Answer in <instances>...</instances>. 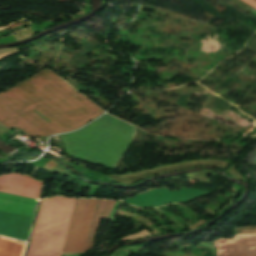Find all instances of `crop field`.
<instances>
[{"label": "crop field", "instance_id": "obj_1", "mask_svg": "<svg viewBox=\"0 0 256 256\" xmlns=\"http://www.w3.org/2000/svg\"><path fill=\"white\" fill-rule=\"evenodd\" d=\"M103 112L47 68L0 94V122L30 136L73 130Z\"/></svg>", "mask_w": 256, "mask_h": 256}, {"label": "crop field", "instance_id": "obj_2", "mask_svg": "<svg viewBox=\"0 0 256 256\" xmlns=\"http://www.w3.org/2000/svg\"><path fill=\"white\" fill-rule=\"evenodd\" d=\"M75 198L41 202L27 256H60ZM97 200H75L62 252H83Z\"/></svg>", "mask_w": 256, "mask_h": 256}, {"label": "crop field", "instance_id": "obj_3", "mask_svg": "<svg viewBox=\"0 0 256 256\" xmlns=\"http://www.w3.org/2000/svg\"><path fill=\"white\" fill-rule=\"evenodd\" d=\"M135 128L107 115L61 135L67 154L90 164L113 167L130 144Z\"/></svg>", "mask_w": 256, "mask_h": 256}, {"label": "crop field", "instance_id": "obj_4", "mask_svg": "<svg viewBox=\"0 0 256 256\" xmlns=\"http://www.w3.org/2000/svg\"><path fill=\"white\" fill-rule=\"evenodd\" d=\"M42 182L9 173L0 176V191L38 199ZM0 192V209L34 215L36 199ZM0 210V235L27 241L33 217Z\"/></svg>", "mask_w": 256, "mask_h": 256}, {"label": "crop field", "instance_id": "obj_5", "mask_svg": "<svg viewBox=\"0 0 256 256\" xmlns=\"http://www.w3.org/2000/svg\"><path fill=\"white\" fill-rule=\"evenodd\" d=\"M217 256H256V234L236 235L233 240L219 239Z\"/></svg>", "mask_w": 256, "mask_h": 256}, {"label": "crop field", "instance_id": "obj_6", "mask_svg": "<svg viewBox=\"0 0 256 256\" xmlns=\"http://www.w3.org/2000/svg\"><path fill=\"white\" fill-rule=\"evenodd\" d=\"M115 201H104V200H99L98 204H97V208L93 217V221H92V225L90 228V232H89V236H88V240L86 243V247H85V251L93 248V244H94V239L97 233V229L99 226V223L101 221L102 218H107L110 210L112 209L113 205H114ZM121 204V201H116L113 209L111 210L108 218L112 219L114 213L116 212L118 206Z\"/></svg>", "mask_w": 256, "mask_h": 256}, {"label": "crop field", "instance_id": "obj_7", "mask_svg": "<svg viewBox=\"0 0 256 256\" xmlns=\"http://www.w3.org/2000/svg\"><path fill=\"white\" fill-rule=\"evenodd\" d=\"M25 244L0 236V256H22Z\"/></svg>", "mask_w": 256, "mask_h": 256}, {"label": "crop field", "instance_id": "obj_8", "mask_svg": "<svg viewBox=\"0 0 256 256\" xmlns=\"http://www.w3.org/2000/svg\"><path fill=\"white\" fill-rule=\"evenodd\" d=\"M245 3H247L251 7L256 8V1L255 0H243Z\"/></svg>", "mask_w": 256, "mask_h": 256}]
</instances>
